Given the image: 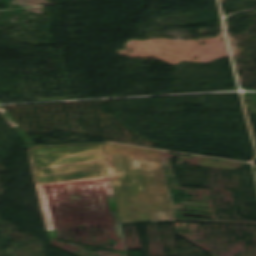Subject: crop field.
<instances>
[{
  "label": "crop field",
  "mask_w": 256,
  "mask_h": 256,
  "mask_svg": "<svg viewBox=\"0 0 256 256\" xmlns=\"http://www.w3.org/2000/svg\"><path fill=\"white\" fill-rule=\"evenodd\" d=\"M30 154L37 184L108 175L101 145L35 148Z\"/></svg>",
  "instance_id": "crop-field-1"
},
{
  "label": "crop field",
  "mask_w": 256,
  "mask_h": 256,
  "mask_svg": "<svg viewBox=\"0 0 256 256\" xmlns=\"http://www.w3.org/2000/svg\"><path fill=\"white\" fill-rule=\"evenodd\" d=\"M119 180H112L122 223L150 221L147 210L169 209L155 195L149 169L130 170L127 156L113 153Z\"/></svg>",
  "instance_id": "crop-field-2"
},
{
  "label": "crop field",
  "mask_w": 256,
  "mask_h": 256,
  "mask_svg": "<svg viewBox=\"0 0 256 256\" xmlns=\"http://www.w3.org/2000/svg\"><path fill=\"white\" fill-rule=\"evenodd\" d=\"M102 146L105 150L111 179H118L112 156L113 152L127 155L130 160L131 169L150 168L156 194H167L170 205V210L148 211L150 220L173 219V205L161 163L160 151L116 144Z\"/></svg>",
  "instance_id": "crop-field-3"
}]
</instances>
